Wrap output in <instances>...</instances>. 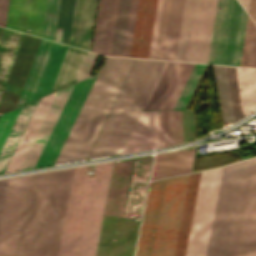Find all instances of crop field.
<instances>
[{"label":"crop field","instance_id":"crop-field-1","mask_svg":"<svg viewBox=\"0 0 256 256\" xmlns=\"http://www.w3.org/2000/svg\"><path fill=\"white\" fill-rule=\"evenodd\" d=\"M134 60L106 58L54 164L87 157ZM165 62L136 59L88 158L121 152Z\"/></svg>","mask_w":256,"mask_h":256},{"label":"crop field","instance_id":"crop-field-2","mask_svg":"<svg viewBox=\"0 0 256 256\" xmlns=\"http://www.w3.org/2000/svg\"><path fill=\"white\" fill-rule=\"evenodd\" d=\"M73 171L29 175L13 256H56Z\"/></svg>","mask_w":256,"mask_h":256},{"label":"crop field","instance_id":"crop-field-3","mask_svg":"<svg viewBox=\"0 0 256 256\" xmlns=\"http://www.w3.org/2000/svg\"><path fill=\"white\" fill-rule=\"evenodd\" d=\"M112 163L75 168L58 256H95Z\"/></svg>","mask_w":256,"mask_h":256},{"label":"crop field","instance_id":"crop-field-4","mask_svg":"<svg viewBox=\"0 0 256 256\" xmlns=\"http://www.w3.org/2000/svg\"><path fill=\"white\" fill-rule=\"evenodd\" d=\"M188 176L150 182L136 256H172Z\"/></svg>","mask_w":256,"mask_h":256},{"label":"crop field","instance_id":"crop-field-5","mask_svg":"<svg viewBox=\"0 0 256 256\" xmlns=\"http://www.w3.org/2000/svg\"><path fill=\"white\" fill-rule=\"evenodd\" d=\"M217 168L190 174L173 256H184L193 208L195 209L185 256H206V250L222 174Z\"/></svg>","mask_w":256,"mask_h":256},{"label":"crop field","instance_id":"crop-field-6","mask_svg":"<svg viewBox=\"0 0 256 256\" xmlns=\"http://www.w3.org/2000/svg\"><path fill=\"white\" fill-rule=\"evenodd\" d=\"M217 0H184L175 60L207 63Z\"/></svg>","mask_w":256,"mask_h":256},{"label":"crop field","instance_id":"crop-field-7","mask_svg":"<svg viewBox=\"0 0 256 256\" xmlns=\"http://www.w3.org/2000/svg\"><path fill=\"white\" fill-rule=\"evenodd\" d=\"M223 122L256 108V69L213 65Z\"/></svg>","mask_w":256,"mask_h":256},{"label":"crop field","instance_id":"crop-field-8","mask_svg":"<svg viewBox=\"0 0 256 256\" xmlns=\"http://www.w3.org/2000/svg\"><path fill=\"white\" fill-rule=\"evenodd\" d=\"M246 18L236 0H218L208 63L239 65Z\"/></svg>","mask_w":256,"mask_h":256},{"label":"crop field","instance_id":"crop-field-9","mask_svg":"<svg viewBox=\"0 0 256 256\" xmlns=\"http://www.w3.org/2000/svg\"><path fill=\"white\" fill-rule=\"evenodd\" d=\"M227 256H256V158L245 163Z\"/></svg>","mask_w":256,"mask_h":256},{"label":"crop field","instance_id":"crop-field-10","mask_svg":"<svg viewBox=\"0 0 256 256\" xmlns=\"http://www.w3.org/2000/svg\"><path fill=\"white\" fill-rule=\"evenodd\" d=\"M244 163L224 166L207 256H226Z\"/></svg>","mask_w":256,"mask_h":256},{"label":"crop field","instance_id":"crop-field-11","mask_svg":"<svg viewBox=\"0 0 256 256\" xmlns=\"http://www.w3.org/2000/svg\"><path fill=\"white\" fill-rule=\"evenodd\" d=\"M95 78L74 85L34 168L53 164Z\"/></svg>","mask_w":256,"mask_h":256},{"label":"crop field","instance_id":"crop-field-12","mask_svg":"<svg viewBox=\"0 0 256 256\" xmlns=\"http://www.w3.org/2000/svg\"><path fill=\"white\" fill-rule=\"evenodd\" d=\"M193 66L167 61L143 109H172Z\"/></svg>","mask_w":256,"mask_h":256},{"label":"crop field","instance_id":"crop-field-13","mask_svg":"<svg viewBox=\"0 0 256 256\" xmlns=\"http://www.w3.org/2000/svg\"><path fill=\"white\" fill-rule=\"evenodd\" d=\"M27 177L28 175L8 180L0 222V256H12Z\"/></svg>","mask_w":256,"mask_h":256},{"label":"crop field","instance_id":"crop-field-14","mask_svg":"<svg viewBox=\"0 0 256 256\" xmlns=\"http://www.w3.org/2000/svg\"><path fill=\"white\" fill-rule=\"evenodd\" d=\"M162 1L163 0H158V2L157 0H139L130 56L148 58L157 2L149 55V58H153Z\"/></svg>","mask_w":256,"mask_h":256},{"label":"crop field","instance_id":"crop-field-15","mask_svg":"<svg viewBox=\"0 0 256 256\" xmlns=\"http://www.w3.org/2000/svg\"><path fill=\"white\" fill-rule=\"evenodd\" d=\"M47 0H10L7 28L24 32L29 26V33L41 37Z\"/></svg>","mask_w":256,"mask_h":256},{"label":"crop field","instance_id":"crop-field-16","mask_svg":"<svg viewBox=\"0 0 256 256\" xmlns=\"http://www.w3.org/2000/svg\"><path fill=\"white\" fill-rule=\"evenodd\" d=\"M129 1L130 0H119V5H118V0H116L115 2L107 55L129 56L138 0H131L130 7H129ZM117 5H118V11H117ZM128 7H129V13H128ZM116 11H117V17H116ZM127 13H128V20H127ZM115 17H116V24H115ZM126 20H127V26H126ZM114 24H115V30H114ZM125 26H126V32H125ZM113 30H114V37H113ZM124 32H125V38H124ZM112 37H113V43H112ZM123 38H124V44H123ZM111 43H112V49H111ZM122 44H123V50H122ZM110 49H111V52H116V53H121V50H122V54L110 53Z\"/></svg>","mask_w":256,"mask_h":256},{"label":"crop field","instance_id":"crop-field-17","mask_svg":"<svg viewBox=\"0 0 256 256\" xmlns=\"http://www.w3.org/2000/svg\"><path fill=\"white\" fill-rule=\"evenodd\" d=\"M173 0H164L155 56L163 59ZM183 0H174L164 59L174 60Z\"/></svg>","mask_w":256,"mask_h":256},{"label":"crop field","instance_id":"crop-field-18","mask_svg":"<svg viewBox=\"0 0 256 256\" xmlns=\"http://www.w3.org/2000/svg\"><path fill=\"white\" fill-rule=\"evenodd\" d=\"M96 55L69 46L53 91L87 78Z\"/></svg>","mask_w":256,"mask_h":256},{"label":"crop field","instance_id":"crop-field-19","mask_svg":"<svg viewBox=\"0 0 256 256\" xmlns=\"http://www.w3.org/2000/svg\"><path fill=\"white\" fill-rule=\"evenodd\" d=\"M56 92L40 99L4 173L19 170ZM26 140L28 141L27 143L25 142Z\"/></svg>","mask_w":256,"mask_h":256},{"label":"crop field","instance_id":"crop-field-20","mask_svg":"<svg viewBox=\"0 0 256 256\" xmlns=\"http://www.w3.org/2000/svg\"><path fill=\"white\" fill-rule=\"evenodd\" d=\"M73 86L58 90L19 171L31 169Z\"/></svg>","mask_w":256,"mask_h":256},{"label":"crop field","instance_id":"crop-field-21","mask_svg":"<svg viewBox=\"0 0 256 256\" xmlns=\"http://www.w3.org/2000/svg\"><path fill=\"white\" fill-rule=\"evenodd\" d=\"M195 149L156 155L151 180L191 172Z\"/></svg>","mask_w":256,"mask_h":256},{"label":"crop field","instance_id":"crop-field-22","mask_svg":"<svg viewBox=\"0 0 256 256\" xmlns=\"http://www.w3.org/2000/svg\"><path fill=\"white\" fill-rule=\"evenodd\" d=\"M96 0H76L70 45L88 50Z\"/></svg>","mask_w":256,"mask_h":256},{"label":"crop field","instance_id":"crop-field-23","mask_svg":"<svg viewBox=\"0 0 256 256\" xmlns=\"http://www.w3.org/2000/svg\"><path fill=\"white\" fill-rule=\"evenodd\" d=\"M137 131L154 132L155 147L157 146L155 111L141 112L122 153L127 152ZM145 132H137L127 153L154 148L153 133Z\"/></svg>","mask_w":256,"mask_h":256},{"label":"crop field","instance_id":"crop-field-24","mask_svg":"<svg viewBox=\"0 0 256 256\" xmlns=\"http://www.w3.org/2000/svg\"><path fill=\"white\" fill-rule=\"evenodd\" d=\"M39 99L22 106L0 150V174L4 172Z\"/></svg>","mask_w":256,"mask_h":256},{"label":"crop field","instance_id":"crop-field-25","mask_svg":"<svg viewBox=\"0 0 256 256\" xmlns=\"http://www.w3.org/2000/svg\"><path fill=\"white\" fill-rule=\"evenodd\" d=\"M158 147L182 142L181 111H156Z\"/></svg>","mask_w":256,"mask_h":256},{"label":"crop field","instance_id":"crop-field-26","mask_svg":"<svg viewBox=\"0 0 256 256\" xmlns=\"http://www.w3.org/2000/svg\"><path fill=\"white\" fill-rule=\"evenodd\" d=\"M67 47V45L53 43L33 99L52 91Z\"/></svg>","mask_w":256,"mask_h":256},{"label":"crop field","instance_id":"crop-field-27","mask_svg":"<svg viewBox=\"0 0 256 256\" xmlns=\"http://www.w3.org/2000/svg\"><path fill=\"white\" fill-rule=\"evenodd\" d=\"M52 43L51 41L41 40L17 106L31 101Z\"/></svg>","mask_w":256,"mask_h":256},{"label":"crop field","instance_id":"crop-field-28","mask_svg":"<svg viewBox=\"0 0 256 256\" xmlns=\"http://www.w3.org/2000/svg\"><path fill=\"white\" fill-rule=\"evenodd\" d=\"M114 2L115 0H100L99 2V9L93 42V48L94 44L98 45V49L95 45V52L96 49L99 53L106 54L107 52Z\"/></svg>","mask_w":256,"mask_h":256},{"label":"crop field","instance_id":"crop-field-29","mask_svg":"<svg viewBox=\"0 0 256 256\" xmlns=\"http://www.w3.org/2000/svg\"><path fill=\"white\" fill-rule=\"evenodd\" d=\"M75 0H61L54 40L68 44Z\"/></svg>","mask_w":256,"mask_h":256},{"label":"crop field","instance_id":"crop-field-30","mask_svg":"<svg viewBox=\"0 0 256 256\" xmlns=\"http://www.w3.org/2000/svg\"><path fill=\"white\" fill-rule=\"evenodd\" d=\"M240 65L256 67V25L247 18Z\"/></svg>","mask_w":256,"mask_h":256},{"label":"crop field","instance_id":"crop-field-31","mask_svg":"<svg viewBox=\"0 0 256 256\" xmlns=\"http://www.w3.org/2000/svg\"><path fill=\"white\" fill-rule=\"evenodd\" d=\"M60 0H48L45 14L42 37L52 39L54 37L58 7Z\"/></svg>","mask_w":256,"mask_h":256},{"label":"crop field","instance_id":"crop-field-32","mask_svg":"<svg viewBox=\"0 0 256 256\" xmlns=\"http://www.w3.org/2000/svg\"><path fill=\"white\" fill-rule=\"evenodd\" d=\"M204 66H205L204 64H196L195 65L174 109H183L184 108Z\"/></svg>","mask_w":256,"mask_h":256},{"label":"crop field","instance_id":"crop-field-33","mask_svg":"<svg viewBox=\"0 0 256 256\" xmlns=\"http://www.w3.org/2000/svg\"><path fill=\"white\" fill-rule=\"evenodd\" d=\"M21 108V107H20ZM20 108L1 115L0 117V148L20 110Z\"/></svg>","mask_w":256,"mask_h":256},{"label":"crop field","instance_id":"crop-field-34","mask_svg":"<svg viewBox=\"0 0 256 256\" xmlns=\"http://www.w3.org/2000/svg\"><path fill=\"white\" fill-rule=\"evenodd\" d=\"M9 0H0V26L6 24Z\"/></svg>","mask_w":256,"mask_h":256},{"label":"crop field","instance_id":"crop-field-35","mask_svg":"<svg viewBox=\"0 0 256 256\" xmlns=\"http://www.w3.org/2000/svg\"><path fill=\"white\" fill-rule=\"evenodd\" d=\"M7 180L8 178L0 179V217L2 212L5 191H6Z\"/></svg>","mask_w":256,"mask_h":256},{"label":"crop field","instance_id":"crop-field-36","mask_svg":"<svg viewBox=\"0 0 256 256\" xmlns=\"http://www.w3.org/2000/svg\"><path fill=\"white\" fill-rule=\"evenodd\" d=\"M248 13L256 22V0H250Z\"/></svg>","mask_w":256,"mask_h":256},{"label":"crop field","instance_id":"crop-field-37","mask_svg":"<svg viewBox=\"0 0 256 256\" xmlns=\"http://www.w3.org/2000/svg\"><path fill=\"white\" fill-rule=\"evenodd\" d=\"M239 2L242 4V6L246 9V11L248 10V4H249V0H239Z\"/></svg>","mask_w":256,"mask_h":256}]
</instances>
